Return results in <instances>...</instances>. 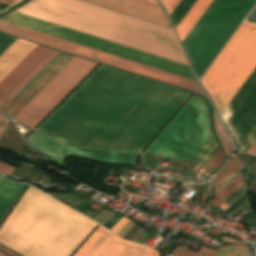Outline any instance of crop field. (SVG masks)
I'll return each instance as SVG.
<instances>
[{"instance_id":"8a807250","label":"crop field","mask_w":256,"mask_h":256,"mask_svg":"<svg viewBox=\"0 0 256 256\" xmlns=\"http://www.w3.org/2000/svg\"><path fill=\"white\" fill-rule=\"evenodd\" d=\"M190 94L100 65L36 130L64 145L142 151Z\"/></svg>"},{"instance_id":"ac0d7876","label":"crop field","mask_w":256,"mask_h":256,"mask_svg":"<svg viewBox=\"0 0 256 256\" xmlns=\"http://www.w3.org/2000/svg\"><path fill=\"white\" fill-rule=\"evenodd\" d=\"M15 12L188 65L171 29L80 0H32Z\"/></svg>"},{"instance_id":"34b2d1b8","label":"crop field","mask_w":256,"mask_h":256,"mask_svg":"<svg viewBox=\"0 0 256 256\" xmlns=\"http://www.w3.org/2000/svg\"><path fill=\"white\" fill-rule=\"evenodd\" d=\"M256 66V24L243 22L201 78L219 115ZM240 151L256 138V68L221 113Z\"/></svg>"},{"instance_id":"412701ff","label":"crop field","mask_w":256,"mask_h":256,"mask_svg":"<svg viewBox=\"0 0 256 256\" xmlns=\"http://www.w3.org/2000/svg\"><path fill=\"white\" fill-rule=\"evenodd\" d=\"M97 225L29 186L0 227V243L24 256H70Z\"/></svg>"},{"instance_id":"f4fd0767","label":"crop field","mask_w":256,"mask_h":256,"mask_svg":"<svg viewBox=\"0 0 256 256\" xmlns=\"http://www.w3.org/2000/svg\"><path fill=\"white\" fill-rule=\"evenodd\" d=\"M0 19L10 21L25 27H29L47 34H51L66 40H70L85 46H89L107 53H111L126 59H130L145 65H149L167 72H171L186 78L196 80L190 67L37 20L25 15L12 12ZM0 20V30L6 33L55 47L84 57H88L103 63H107L122 69H126L141 75H145L160 81H164L179 87H183L204 96L198 82L186 79L171 73H167L149 66H145L130 60H126L111 54H107L89 47H85L70 41H66L51 35H47L29 28H25L10 22ZM87 58V59H88Z\"/></svg>"},{"instance_id":"dd49c442","label":"crop field","mask_w":256,"mask_h":256,"mask_svg":"<svg viewBox=\"0 0 256 256\" xmlns=\"http://www.w3.org/2000/svg\"><path fill=\"white\" fill-rule=\"evenodd\" d=\"M218 146L210 107L194 94L144 152L203 165Z\"/></svg>"},{"instance_id":"e52e79f7","label":"crop field","mask_w":256,"mask_h":256,"mask_svg":"<svg viewBox=\"0 0 256 256\" xmlns=\"http://www.w3.org/2000/svg\"><path fill=\"white\" fill-rule=\"evenodd\" d=\"M256 0H214L182 42L199 79Z\"/></svg>"},{"instance_id":"d8731c3e","label":"crop field","mask_w":256,"mask_h":256,"mask_svg":"<svg viewBox=\"0 0 256 256\" xmlns=\"http://www.w3.org/2000/svg\"><path fill=\"white\" fill-rule=\"evenodd\" d=\"M95 65L74 57L14 119L34 127Z\"/></svg>"},{"instance_id":"5a996713","label":"crop field","mask_w":256,"mask_h":256,"mask_svg":"<svg viewBox=\"0 0 256 256\" xmlns=\"http://www.w3.org/2000/svg\"><path fill=\"white\" fill-rule=\"evenodd\" d=\"M26 139L33 147H35L45 156L55 160L60 164H63L66 154H69L84 156L95 161L136 165L139 155L127 152L63 147L35 131H33L31 135Z\"/></svg>"},{"instance_id":"3316defc","label":"crop field","mask_w":256,"mask_h":256,"mask_svg":"<svg viewBox=\"0 0 256 256\" xmlns=\"http://www.w3.org/2000/svg\"><path fill=\"white\" fill-rule=\"evenodd\" d=\"M154 249L121 240L98 227L73 256H159Z\"/></svg>"},{"instance_id":"28ad6ade","label":"crop field","mask_w":256,"mask_h":256,"mask_svg":"<svg viewBox=\"0 0 256 256\" xmlns=\"http://www.w3.org/2000/svg\"><path fill=\"white\" fill-rule=\"evenodd\" d=\"M71 59L59 54L3 111L15 116Z\"/></svg>"},{"instance_id":"d1516ede","label":"crop field","mask_w":256,"mask_h":256,"mask_svg":"<svg viewBox=\"0 0 256 256\" xmlns=\"http://www.w3.org/2000/svg\"><path fill=\"white\" fill-rule=\"evenodd\" d=\"M52 51L37 45L1 82L0 103Z\"/></svg>"},{"instance_id":"22f410ed","label":"crop field","mask_w":256,"mask_h":256,"mask_svg":"<svg viewBox=\"0 0 256 256\" xmlns=\"http://www.w3.org/2000/svg\"><path fill=\"white\" fill-rule=\"evenodd\" d=\"M159 24L170 26L163 10L132 0H87Z\"/></svg>"},{"instance_id":"cbeb9de0","label":"crop field","mask_w":256,"mask_h":256,"mask_svg":"<svg viewBox=\"0 0 256 256\" xmlns=\"http://www.w3.org/2000/svg\"><path fill=\"white\" fill-rule=\"evenodd\" d=\"M36 46L17 39L0 56V81Z\"/></svg>"},{"instance_id":"5142ce71","label":"crop field","mask_w":256,"mask_h":256,"mask_svg":"<svg viewBox=\"0 0 256 256\" xmlns=\"http://www.w3.org/2000/svg\"><path fill=\"white\" fill-rule=\"evenodd\" d=\"M25 186L26 184H16L0 177V221Z\"/></svg>"},{"instance_id":"d9b57169","label":"crop field","mask_w":256,"mask_h":256,"mask_svg":"<svg viewBox=\"0 0 256 256\" xmlns=\"http://www.w3.org/2000/svg\"><path fill=\"white\" fill-rule=\"evenodd\" d=\"M212 0H197L175 29L181 42L209 6Z\"/></svg>"},{"instance_id":"733c2abd","label":"crop field","mask_w":256,"mask_h":256,"mask_svg":"<svg viewBox=\"0 0 256 256\" xmlns=\"http://www.w3.org/2000/svg\"><path fill=\"white\" fill-rule=\"evenodd\" d=\"M58 53L53 50L25 80L0 104V112L15 98V96L44 68V66Z\"/></svg>"},{"instance_id":"4a817a6b","label":"crop field","mask_w":256,"mask_h":256,"mask_svg":"<svg viewBox=\"0 0 256 256\" xmlns=\"http://www.w3.org/2000/svg\"><path fill=\"white\" fill-rule=\"evenodd\" d=\"M196 0H181L174 11L169 15L174 28L179 24Z\"/></svg>"},{"instance_id":"bc2a9ffb","label":"crop field","mask_w":256,"mask_h":256,"mask_svg":"<svg viewBox=\"0 0 256 256\" xmlns=\"http://www.w3.org/2000/svg\"><path fill=\"white\" fill-rule=\"evenodd\" d=\"M213 115H214V124H215V130H216L217 137H218L226 155L228 156L232 150L231 140H230L229 136L227 135V133L225 132V130L223 129L214 110H213Z\"/></svg>"},{"instance_id":"214f88e0","label":"crop field","mask_w":256,"mask_h":256,"mask_svg":"<svg viewBox=\"0 0 256 256\" xmlns=\"http://www.w3.org/2000/svg\"><path fill=\"white\" fill-rule=\"evenodd\" d=\"M241 165L243 164L233 157L213 180V185L221 181L222 179L226 178L227 176L237 172V167Z\"/></svg>"},{"instance_id":"92a150f3","label":"crop field","mask_w":256,"mask_h":256,"mask_svg":"<svg viewBox=\"0 0 256 256\" xmlns=\"http://www.w3.org/2000/svg\"><path fill=\"white\" fill-rule=\"evenodd\" d=\"M214 251L202 246L199 253L195 254L187 250L186 247L178 246L171 254V256H213Z\"/></svg>"},{"instance_id":"dafd665d","label":"crop field","mask_w":256,"mask_h":256,"mask_svg":"<svg viewBox=\"0 0 256 256\" xmlns=\"http://www.w3.org/2000/svg\"><path fill=\"white\" fill-rule=\"evenodd\" d=\"M245 248L229 246L221 247L217 250L215 256H244Z\"/></svg>"},{"instance_id":"00972430","label":"crop field","mask_w":256,"mask_h":256,"mask_svg":"<svg viewBox=\"0 0 256 256\" xmlns=\"http://www.w3.org/2000/svg\"><path fill=\"white\" fill-rule=\"evenodd\" d=\"M224 159H225V157L219 147L212 154V156L207 160V162L204 164V166H207V167L217 170L221 166Z\"/></svg>"},{"instance_id":"a9b5d70f","label":"crop field","mask_w":256,"mask_h":256,"mask_svg":"<svg viewBox=\"0 0 256 256\" xmlns=\"http://www.w3.org/2000/svg\"><path fill=\"white\" fill-rule=\"evenodd\" d=\"M244 180V179H243ZM243 180L227 187L226 189H224L223 191H221L220 193H218L216 196H214V200L212 202V205L217 207L222 201L223 199L229 195L232 191H234L235 189L239 188L240 186H242Z\"/></svg>"},{"instance_id":"4177f3b9","label":"crop field","mask_w":256,"mask_h":256,"mask_svg":"<svg viewBox=\"0 0 256 256\" xmlns=\"http://www.w3.org/2000/svg\"><path fill=\"white\" fill-rule=\"evenodd\" d=\"M16 40V38L0 34V55Z\"/></svg>"},{"instance_id":"730fd06b","label":"crop field","mask_w":256,"mask_h":256,"mask_svg":"<svg viewBox=\"0 0 256 256\" xmlns=\"http://www.w3.org/2000/svg\"><path fill=\"white\" fill-rule=\"evenodd\" d=\"M242 178H244V177H243L242 174H241V175H239V176H237V177H235V178H233V179H231V180L225 182L224 184H222L221 186H219L218 188H216V189L213 190L214 195H216V194H217L218 192H220L222 189L226 188L227 186L231 185L232 183H234V182H236V181H238V180H240V179H242Z\"/></svg>"},{"instance_id":"eef30255","label":"crop field","mask_w":256,"mask_h":256,"mask_svg":"<svg viewBox=\"0 0 256 256\" xmlns=\"http://www.w3.org/2000/svg\"><path fill=\"white\" fill-rule=\"evenodd\" d=\"M160 1L166 8L168 15L173 10V8L176 6V4L179 2V0H160Z\"/></svg>"},{"instance_id":"ae1a2a85","label":"crop field","mask_w":256,"mask_h":256,"mask_svg":"<svg viewBox=\"0 0 256 256\" xmlns=\"http://www.w3.org/2000/svg\"><path fill=\"white\" fill-rule=\"evenodd\" d=\"M127 221L128 219L122 217L110 230L117 234Z\"/></svg>"},{"instance_id":"d3111659","label":"crop field","mask_w":256,"mask_h":256,"mask_svg":"<svg viewBox=\"0 0 256 256\" xmlns=\"http://www.w3.org/2000/svg\"><path fill=\"white\" fill-rule=\"evenodd\" d=\"M13 170V167L0 162V173L12 174Z\"/></svg>"},{"instance_id":"750c4746","label":"crop field","mask_w":256,"mask_h":256,"mask_svg":"<svg viewBox=\"0 0 256 256\" xmlns=\"http://www.w3.org/2000/svg\"><path fill=\"white\" fill-rule=\"evenodd\" d=\"M245 21L256 23V6L252 10V12L249 14V16L246 18Z\"/></svg>"},{"instance_id":"bd1437ed","label":"crop field","mask_w":256,"mask_h":256,"mask_svg":"<svg viewBox=\"0 0 256 256\" xmlns=\"http://www.w3.org/2000/svg\"><path fill=\"white\" fill-rule=\"evenodd\" d=\"M135 1L142 2V3L148 4V5L154 6V7L161 8V6L156 5V4H159L156 0H146V1H149V2L156 3V4L149 3V2H146V1H143V0H135ZM161 9H162V8H161Z\"/></svg>"},{"instance_id":"1d83c4d3","label":"crop field","mask_w":256,"mask_h":256,"mask_svg":"<svg viewBox=\"0 0 256 256\" xmlns=\"http://www.w3.org/2000/svg\"><path fill=\"white\" fill-rule=\"evenodd\" d=\"M248 153L256 154V139L247 151Z\"/></svg>"},{"instance_id":"120bbe31","label":"crop field","mask_w":256,"mask_h":256,"mask_svg":"<svg viewBox=\"0 0 256 256\" xmlns=\"http://www.w3.org/2000/svg\"><path fill=\"white\" fill-rule=\"evenodd\" d=\"M238 174H240V171L237 172V173H235V174H233V175H231V176H229V177H227L226 179L222 180L221 182L217 183L215 186H213V189L216 188V187H218V186L221 185L223 182H225V181H227V180L233 178L234 176H236V175H238Z\"/></svg>"},{"instance_id":"d32e631a","label":"crop field","mask_w":256,"mask_h":256,"mask_svg":"<svg viewBox=\"0 0 256 256\" xmlns=\"http://www.w3.org/2000/svg\"><path fill=\"white\" fill-rule=\"evenodd\" d=\"M20 0H0V2H4V3H8V4H15L17 2H19Z\"/></svg>"},{"instance_id":"5866460e","label":"crop field","mask_w":256,"mask_h":256,"mask_svg":"<svg viewBox=\"0 0 256 256\" xmlns=\"http://www.w3.org/2000/svg\"><path fill=\"white\" fill-rule=\"evenodd\" d=\"M0 249H2L4 252H6L9 256H17V255L11 253L9 250H7V249H5V248H3L1 246H0Z\"/></svg>"},{"instance_id":"028f5c9d","label":"crop field","mask_w":256,"mask_h":256,"mask_svg":"<svg viewBox=\"0 0 256 256\" xmlns=\"http://www.w3.org/2000/svg\"><path fill=\"white\" fill-rule=\"evenodd\" d=\"M7 6V4L0 3V8L3 9Z\"/></svg>"},{"instance_id":"e1f06a70","label":"crop field","mask_w":256,"mask_h":256,"mask_svg":"<svg viewBox=\"0 0 256 256\" xmlns=\"http://www.w3.org/2000/svg\"><path fill=\"white\" fill-rule=\"evenodd\" d=\"M147 232L145 233V235L140 239V241H139V243H141L142 242V240L147 236ZM149 235V234H148ZM146 239V238H145Z\"/></svg>"},{"instance_id":"0bd39190","label":"crop field","mask_w":256,"mask_h":256,"mask_svg":"<svg viewBox=\"0 0 256 256\" xmlns=\"http://www.w3.org/2000/svg\"><path fill=\"white\" fill-rule=\"evenodd\" d=\"M4 10H0V13L3 12Z\"/></svg>"},{"instance_id":"b80d0937","label":"crop field","mask_w":256,"mask_h":256,"mask_svg":"<svg viewBox=\"0 0 256 256\" xmlns=\"http://www.w3.org/2000/svg\"><path fill=\"white\" fill-rule=\"evenodd\" d=\"M0 256H4V255H2V254L0 253Z\"/></svg>"}]
</instances>
